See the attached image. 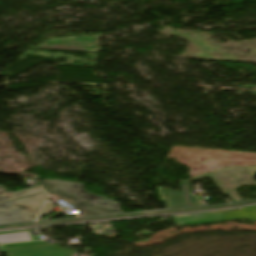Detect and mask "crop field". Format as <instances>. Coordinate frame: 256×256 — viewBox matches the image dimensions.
Returning a JSON list of instances; mask_svg holds the SVG:
<instances>
[{
	"instance_id": "obj_7",
	"label": "crop field",
	"mask_w": 256,
	"mask_h": 256,
	"mask_svg": "<svg viewBox=\"0 0 256 256\" xmlns=\"http://www.w3.org/2000/svg\"><path fill=\"white\" fill-rule=\"evenodd\" d=\"M32 240L28 231L0 233V243L23 242Z\"/></svg>"
},
{
	"instance_id": "obj_1",
	"label": "crop field",
	"mask_w": 256,
	"mask_h": 256,
	"mask_svg": "<svg viewBox=\"0 0 256 256\" xmlns=\"http://www.w3.org/2000/svg\"><path fill=\"white\" fill-rule=\"evenodd\" d=\"M42 185L54 200L72 204L76 217L122 213L117 202L86 191L82 183L44 179Z\"/></svg>"
},
{
	"instance_id": "obj_4",
	"label": "crop field",
	"mask_w": 256,
	"mask_h": 256,
	"mask_svg": "<svg viewBox=\"0 0 256 256\" xmlns=\"http://www.w3.org/2000/svg\"><path fill=\"white\" fill-rule=\"evenodd\" d=\"M175 226L247 218L256 221V206L199 214L173 216Z\"/></svg>"
},
{
	"instance_id": "obj_2",
	"label": "crop field",
	"mask_w": 256,
	"mask_h": 256,
	"mask_svg": "<svg viewBox=\"0 0 256 256\" xmlns=\"http://www.w3.org/2000/svg\"><path fill=\"white\" fill-rule=\"evenodd\" d=\"M220 190L229 195L233 201L242 200L234 190L241 185H256V182L244 166H232L208 172ZM182 191L174 192L164 188L170 208L207 204L205 200H196L189 183H180Z\"/></svg>"
},
{
	"instance_id": "obj_8",
	"label": "crop field",
	"mask_w": 256,
	"mask_h": 256,
	"mask_svg": "<svg viewBox=\"0 0 256 256\" xmlns=\"http://www.w3.org/2000/svg\"><path fill=\"white\" fill-rule=\"evenodd\" d=\"M55 203H46L45 207L43 208L41 214L39 215L38 218L43 217L49 213H51L53 211V207H54Z\"/></svg>"
},
{
	"instance_id": "obj_10",
	"label": "crop field",
	"mask_w": 256,
	"mask_h": 256,
	"mask_svg": "<svg viewBox=\"0 0 256 256\" xmlns=\"http://www.w3.org/2000/svg\"><path fill=\"white\" fill-rule=\"evenodd\" d=\"M250 1H256V0H250Z\"/></svg>"
},
{
	"instance_id": "obj_3",
	"label": "crop field",
	"mask_w": 256,
	"mask_h": 256,
	"mask_svg": "<svg viewBox=\"0 0 256 256\" xmlns=\"http://www.w3.org/2000/svg\"><path fill=\"white\" fill-rule=\"evenodd\" d=\"M47 199L45 192L0 203V224L35 220Z\"/></svg>"
},
{
	"instance_id": "obj_6",
	"label": "crop field",
	"mask_w": 256,
	"mask_h": 256,
	"mask_svg": "<svg viewBox=\"0 0 256 256\" xmlns=\"http://www.w3.org/2000/svg\"><path fill=\"white\" fill-rule=\"evenodd\" d=\"M41 188L39 186L16 191V192H10L7 189H5L3 186H0V201H5L37 192H41Z\"/></svg>"
},
{
	"instance_id": "obj_9",
	"label": "crop field",
	"mask_w": 256,
	"mask_h": 256,
	"mask_svg": "<svg viewBox=\"0 0 256 256\" xmlns=\"http://www.w3.org/2000/svg\"><path fill=\"white\" fill-rule=\"evenodd\" d=\"M59 215H61V214L56 213V214H54V215H52V216H50V217H47V218H45V219H51V218L56 217V216H59ZM43 220H44V219H43Z\"/></svg>"
},
{
	"instance_id": "obj_5",
	"label": "crop field",
	"mask_w": 256,
	"mask_h": 256,
	"mask_svg": "<svg viewBox=\"0 0 256 256\" xmlns=\"http://www.w3.org/2000/svg\"><path fill=\"white\" fill-rule=\"evenodd\" d=\"M7 256H89L51 245L46 242L5 245Z\"/></svg>"
}]
</instances>
